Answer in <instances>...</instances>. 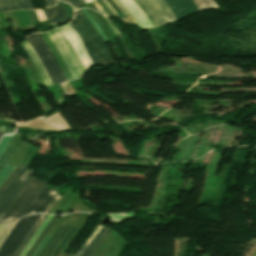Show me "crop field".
<instances>
[{"label":"crop field","mask_w":256,"mask_h":256,"mask_svg":"<svg viewBox=\"0 0 256 256\" xmlns=\"http://www.w3.org/2000/svg\"><path fill=\"white\" fill-rule=\"evenodd\" d=\"M61 28L64 31V33H65L66 37L68 38L69 42L71 43V45H72L73 49L75 50L76 54L80 58L81 62L83 63V65L87 69L91 65V62L88 60V58L85 54L84 48H83L78 36L76 35L75 32H73L70 29L69 24L62 26Z\"/></svg>","instance_id":"crop-field-10"},{"label":"crop field","mask_w":256,"mask_h":256,"mask_svg":"<svg viewBox=\"0 0 256 256\" xmlns=\"http://www.w3.org/2000/svg\"><path fill=\"white\" fill-rule=\"evenodd\" d=\"M14 151V148L7 147L6 150L2 153L0 156V171Z\"/></svg>","instance_id":"crop-field-20"},{"label":"crop field","mask_w":256,"mask_h":256,"mask_svg":"<svg viewBox=\"0 0 256 256\" xmlns=\"http://www.w3.org/2000/svg\"><path fill=\"white\" fill-rule=\"evenodd\" d=\"M118 7L119 9L122 11V13L125 15V17L129 16L130 14L127 12V10L125 9V7L120 3L119 0H112Z\"/></svg>","instance_id":"crop-field-27"},{"label":"crop field","mask_w":256,"mask_h":256,"mask_svg":"<svg viewBox=\"0 0 256 256\" xmlns=\"http://www.w3.org/2000/svg\"><path fill=\"white\" fill-rule=\"evenodd\" d=\"M47 214H42L41 217L38 219V221L36 222V224L34 225V227L32 228V230L29 232V234L26 236V238L24 239V241L22 242V244L20 245V247L18 248V250L16 251V253L14 254V256H19L20 253L23 251V249L26 247V245L28 244V242L31 240V238L33 237V235L35 234V232L37 231V229L39 228V226L42 224V222L46 219Z\"/></svg>","instance_id":"crop-field-17"},{"label":"crop field","mask_w":256,"mask_h":256,"mask_svg":"<svg viewBox=\"0 0 256 256\" xmlns=\"http://www.w3.org/2000/svg\"><path fill=\"white\" fill-rule=\"evenodd\" d=\"M36 11H37L40 21L47 19L46 16L44 15V13L42 12V10H36Z\"/></svg>","instance_id":"crop-field-32"},{"label":"crop field","mask_w":256,"mask_h":256,"mask_svg":"<svg viewBox=\"0 0 256 256\" xmlns=\"http://www.w3.org/2000/svg\"><path fill=\"white\" fill-rule=\"evenodd\" d=\"M28 168V165L19 163L15 171L11 176L6 180V182L0 188V201L4 196L10 191V189L15 185L18 179L22 176L25 170Z\"/></svg>","instance_id":"crop-field-12"},{"label":"crop field","mask_w":256,"mask_h":256,"mask_svg":"<svg viewBox=\"0 0 256 256\" xmlns=\"http://www.w3.org/2000/svg\"><path fill=\"white\" fill-rule=\"evenodd\" d=\"M71 27L82 39L93 64L114 62L107 45L80 9L76 11Z\"/></svg>","instance_id":"crop-field-1"},{"label":"crop field","mask_w":256,"mask_h":256,"mask_svg":"<svg viewBox=\"0 0 256 256\" xmlns=\"http://www.w3.org/2000/svg\"><path fill=\"white\" fill-rule=\"evenodd\" d=\"M44 2L46 7L56 4V0H44ZM32 8H34L32 0H0V11Z\"/></svg>","instance_id":"crop-field-11"},{"label":"crop field","mask_w":256,"mask_h":256,"mask_svg":"<svg viewBox=\"0 0 256 256\" xmlns=\"http://www.w3.org/2000/svg\"><path fill=\"white\" fill-rule=\"evenodd\" d=\"M15 167L5 166L0 172V185ZM11 174V173H10ZM7 179V178H6Z\"/></svg>","instance_id":"crop-field-24"},{"label":"crop field","mask_w":256,"mask_h":256,"mask_svg":"<svg viewBox=\"0 0 256 256\" xmlns=\"http://www.w3.org/2000/svg\"><path fill=\"white\" fill-rule=\"evenodd\" d=\"M111 231L112 229L103 226L95 238L89 243L81 256H92Z\"/></svg>","instance_id":"crop-field-14"},{"label":"crop field","mask_w":256,"mask_h":256,"mask_svg":"<svg viewBox=\"0 0 256 256\" xmlns=\"http://www.w3.org/2000/svg\"><path fill=\"white\" fill-rule=\"evenodd\" d=\"M94 3V5L97 7V9L100 11V13H103V14H105V12L101 9V7L97 4V2L95 1V2H93Z\"/></svg>","instance_id":"crop-field-33"},{"label":"crop field","mask_w":256,"mask_h":256,"mask_svg":"<svg viewBox=\"0 0 256 256\" xmlns=\"http://www.w3.org/2000/svg\"><path fill=\"white\" fill-rule=\"evenodd\" d=\"M104 19L110 24V26L113 28V30L116 32L117 35H119V31L117 28L114 26V24L111 22L108 16L103 15Z\"/></svg>","instance_id":"crop-field-30"},{"label":"crop field","mask_w":256,"mask_h":256,"mask_svg":"<svg viewBox=\"0 0 256 256\" xmlns=\"http://www.w3.org/2000/svg\"><path fill=\"white\" fill-rule=\"evenodd\" d=\"M105 2V4L108 6V8L111 10V12L113 13V15L119 16V14L112 8V6L109 4V2L107 0H103Z\"/></svg>","instance_id":"crop-field-31"},{"label":"crop field","mask_w":256,"mask_h":256,"mask_svg":"<svg viewBox=\"0 0 256 256\" xmlns=\"http://www.w3.org/2000/svg\"><path fill=\"white\" fill-rule=\"evenodd\" d=\"M27 39L36 51V53L38 54V56L40 57L53 84L65 81L66 79L58 63L56 62L54 56L45 45L40 34L31 35Z\"/></svg>","instance_id":"crop-field-3"},{"label":"crop field","mask_w":256,"mask_h":256,"mask_svg":"<svg viewBox=\"0 0 256 256\" xmlns=\"http://www.w3.org/2000/svg\"><path fill=\"white\" fill-rule=\"evenodd\" d=\"M41 36L43 37L45 43L47 44V46L49 47V49L51 50V52L55 56L56 60L58 61V63L60 65L62 71L64 72L67 80L73 79V76H72L71 72L69 71L68 67L66 66V64H65L64 60L62 59L61 55L59 54L58 50L54 46V44H53L52 40L50 39L48 33H43V34H41Z\"/></svg>","instance_id":"crop-field-16"},{"label":"crop field","mask_w":256,"mask_h":256,"mask_svg":"<svg viewBox=\"0 0 256 256\" xmlns=\"http://www.w3.org/2000/svg\"><path fill=\"white\" fill-rule=\"evenodd\" d=\"M63 256H68L67 254H64Z\"/></svg>","instance_id":"crop-field-36"},{"label":"crop field","mask_w":256,"mask_h":256,"mask_svg":"<svg viewBox=\"0 0 256 256\" xmlns=\"http://www.w3.org/2000/svg\"><path fill=\"white\" fill-rule=\"evenodd\" d=\"M63 1H66V2H69V3H70V1H71V3H72V5H73L74 9L77 8L79 5L85 3L84 0H70V1H69V0H63Z\"/></svg>","instance_id":"crop-field-29"},{"label":"crop field","mask_w":256,"mask_h":256,"mask_svg":"<svg viewBox=\"0 0 256 256\" xmlns=\"http://www.w3.org/2000/svg\"><path fill=\"white\" fill-rule=\"evenodd\" d=\"M1 135H2V132H0V137H1Z\"/></svg>","instance_id":"crop-field-35"},{"label":"crop field","mask_w":256,"mask_h":256,"mask_svg":"<svg viewBox=\"0 0 256 256\" xmlns=\"http://www.w3.org/2000/svg\"><path fill=\"white\" fill-rule=\"evenodd\" d=\"M91 1H94V0H85L86 3H89V2H91Z\"/></svg>","instance_id":"crop-field-34"},{"label":"crop field","mask_w":256,"mask_h":256,"mask_svg":"<svg viewBox=\"0 0 256 256\" xmlns=\"http://www.w3.org/2000/svg\"><path fill=\"white\" fill-rule=\"evenodd\" d=\"M78 228L61 223L49 238L39 256H59Z\"/></svg>","instance_id":"crop-field-6"},{"label":"crop field","mask_w":256,"mask_h":256,"mask_svg":"<svg viewBox=\"0 0 256 256\" xmlns=\"http://www.w3.org/2000/svg\"><path fill=\"white\" fill-rule=\"evenodd\" d=\"M12 137H13V135L3 136V138L0 142V155L5 150L7 144L9 143V141L11 140Z\"/></svg>","instance_id":"crop-field-25"},{"label":"crop field","mask_w":256,"mask_h":256,"mask_svg":"<svg viewBox=\"0 0 256 256\" xmlns=\"http://www.w3.org/2000/svg\"><path fill=\"white\" fill-rule=\"evenodd\" d=\"M45 186L46 183L32 177L0 221L21 217Z\"/></svg>","instance_id":"crop-field-2"},{"label":"crop field","mask_w":256,"mask_h":256,"mask_svg":"<svg viewBox=\"0 0 256 256\" xmlns=\"http://www.w3.org/2000/svg\"><path fill=\"white\" fill-rule=\"evenodd\" d=\"M41 214L22 218L9 233L0 247V256H12Z\"/></svg>","instance_id":"crop-field-4"},{"label":"crop field","mask_w":256,"mask_h":256,"mask_svg":"<svg viewBox=\"0 0 256 256\" xmlns=\"http://www.w3.org/2000/svg\"><path fill=\"white\" fill-rule=\"evenodd\" d=\"M58 3H59V1H58ZM44 12H45L51 25H59L61 23L68 21V19H69L66 16L60 3H59V5L54 6L50 9H47Z\"/></svg>","instance_id":"crop-field-15"},{"label":"crop field","mask_w":256,"mask_h":256,"mask_svg":"<svg viewBox=\"0 0 256 256\" xmlns=\"http://www.w3.org/2000/svg\"><path fill=\"white\" fill-rule=\"evenodd\" d=\"M34 172L27 169L25 174L21 177V179L16 183V185L12 188V190L5 196V198L0 202V218L30 180L31 176Z\"/></svg>","instance_id":"crop-field-7"},{"label":"crop field","mask_w":256,"mask_h":256,"mask_svg":"<svg viewBox=\"0 0 256 256\" xmlns=\"http://www.w3.org/2000/svg\"><path fill=\"white\" fill-rule=\"evenodd\" d=\"M101 225H98L97 228L95 229V231L87 238L86 242L84 243V245L81 247V249L78 251V253L75 256H80L81 253L83 252V250L85 249V247L88 245V243L91 241V239L97 234V232L101 229Z\"/></svg>","instance_id":"crop-field-23"},{"label":"crop field","mask_w":256,"mask_h":256,"mask_svg":"<svg viewBox=\"0 0 256 256\" xmlns=\"http://www.w3.org/2000/svg\"><path fill=\"white\" fill-rule=\"evenodd\" d=\"M82 11L84 12V14L87 16V18L90 20V22L93 24V26L95 27V29L98 31V33L102 36L103 40L107 43L110 42L106 36L103 34V32L100 30V28L98 27V25L95 23V21L92 19V17L89 15V13L86 11V9H82Z\"/></svg>","instance_id":"crop-field-22"},{"label":"crop field","mask_w":256,"mask_h":256,"mask_svg":"<svg viewBox=\"0 0 256 256\" xmlns=\"http://www.w3.org/2000/svg\"><path fill=\"white\" fill-rule=\"evenodd\" d=\"M49 235H46V237L43 239V241L40 243V245L37 247L35 253L33 254V256H38L39 252L41 251L42 247L44 246V244L46 243L47 239L49 238ZM49 240V239H48Z\"/></svg>","instance_id":"crop-field-28"},{"label":"crop field","mask_w":256,"mask_h":256,"mask_svg":"<svg viewBox=\"0 0 256 256\" xmlns=\"http://www.w3.org/2000/svg\"><path fill=\"white\" fill-rule=\"evenodd\" d=\"M196 5L199 7L200 10L207 8V7H216V3L213 0H193Z\"/></svg>","instance_id":"crop-field-21"},{"label":"crop field","mask_w":256,"mask_h":256,"mask_svg":"<svg viewBox=\"0 0 256 256\" xmlns=\"http://www.w3.org/2000/svg\"><path fill=\"white\" fill-rule=\"evenodd\" d=\"M122 4L126 7L129 13L133 16L137 24L143 27H151V24L138 8V6L132 0H120Z\"/></svg>","instance_id":"crop-field-13"},{"label":"crop field","mask_w":256,"mask_h":256,"mask_svg":"<svg viewBox=\"0 0 256 256\" xmlns=\"http://www.w3.org/2000/svg\"><path fill=\"white\" fill-rule=\"evenodd\" d=\"M56 193L57 192L44 188V190L39 194V196L35 199V201L31 204L23 216L45 211Z\"/></svg>","instance_id":"crop-field-9"},{"label":"crop field","mask_w":256,"mask_h":256,"mask_svg":"<svg viewBox=\"0 0 256 256\" xmlns=\"http://www.w3.org/2000/svg\"><path fill=\"white\" fill-rule=\"evenodd\" d=\"M62 196L60 195H56V197L53 199L52 203L50 204V206L47 208V210L45 211L46 213H49L53 207L57 204V202L60 200Z\"/></svg>","instance_id":"crop-field-26"},{"label":"crop field","mask_w":256,"mask_h":256,"mask_svg":"<svg viewBox=\"0 0 256 256\" xmlns=\"http://www.w3.org/2000/svg\"><path fill=\"white\" fill-rule=\"evenodd\" d=\"M146 15L152 26H158L176 18L164 0H133Z\"/></svg>","instance_id":"crop-field-5"},{"label":"crop field","mask_w":256,"mask_h":256,"mask_svg":"<svg viewBox=\"0 0 256 256\" xmlns=\"http://www.w3.org/2000/svg\"><path fill=\"white\" fill-rule=\"evenodd\" d=\"M57 221V218L52 217L48 225L43 229L41 235L39 236L38 240L35 242V244L32 246V248L29 250V252L26 254V256H32L34 253L36 247L39 245V243L42 241L50 227Z\"/></svg>","instance_id":"crop-field-19"},{"label":"crop field","mask_w":256,"mask_h":256,"mask_svg":"<svg viewBox=\"0 0 256 256\" xmlns=\"http://www.w3.org/2000/svg\"><path fill=\"white\" fill-rule=\"evenodd\" d=\"M171 11L178 19L199 11L198 7L192 0H165Z\"/></svg>","instance_id":"crop-field-8"},{"label":"crop field","mask_w":256,"mask_h":256,"mask_svg":"<svg viewBox=\"0 0 256 256\" xmlns=\"http://www.w3.org/2000/svg\"><path fill=\"white\" fill-rule=\"evenodd\" d=\"M17 221L18 219L0 224V246Z\"/></svg>","instance_id":"crop-field-18"}]
</instances>
